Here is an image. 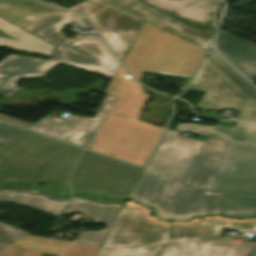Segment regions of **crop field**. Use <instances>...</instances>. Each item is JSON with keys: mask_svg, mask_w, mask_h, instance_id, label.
I'll return each mask as SVG.
<instances>
[{"mask_svg": "<svg viewBox=\"0 0 256 256\" xmlns=\"http://www.w3.org/2000/svg\"><path fill=\"white\" fill-rule=\"evenodd\" d=\"M9 243H11V242H9V241H7V240H5V239L0 237V248L5 246V245H7V244H9Z\"/></svg>", "mask_w": 256, "mask_h": 256, "instance_id": "eef30255", "label": "crop field"}, {"mask_svg": "<svg viewBox=\"0 0 256 256\" xmlns=\"http://www.w3.org/2000/svg\"><path fill=\"white\" fill-rule=\"evenodd\" d=\"M122 200L114 202H102L98 196H75V199L69 204L62 214H69L72 211L81 210V214L95 219L93 223H104L107 229L90 232L83 231L80 236L79 242L102 246L113 223L118 217L123 208Z\"/></svg>", "mask_w": 256, "mask_h": 256, "instance_id": "cbeb9de0", "label": "crop field"}, {"mask_svg": "<svg viewBox=\"0 0 256 256\" xmlns=\"http://www.w3.org/2000/svg\"><path fill=\"white\" fill-rule=\"evenodd\" d=\"M24 129L0 122V145L8 141Z\"/></svg>", "mask_w": 256, "mask_h": 256, "instance_id": "a9b5d70f", "label": "crop field"}, {"mask_svg": "<svg viewBox=\"0 0 256 256\" xmlns=\"http://www.w3.org/2000/svg\"><path fill=\"white\" fill-rule=\"evenodd\" d=\"M204 50L145 21L123 65L137 80L152 71L191 77Z\"/></svg>", "mask_w": 256, "mask_h": 256, "instance_id": "f4fd0767", "label": "crop field"}, {"mask_svg": "<svg viewBox=\"0 0 256 256\" xmlns=\"http://www.w3.org/2000/svg\"><path fill=\"white\" fill-rule=\"evenodd\" d=\"M165 130L129 199L156 208L160 220L218 214L222 195L208 193L224 143Z\"/></svg>", "mask_w": 256, "mask_h": 256, "instance_id": "8a807250", "label": "crop field"}, {"mask_svg": "<svg viewBox=\"0 0 256 256\" xmlns=\"http://www.w3.org/2000/svg\"><path fill=\"white\" fill-rule=\"evenodd\" d=\"M82 148L23 131L0 147V181L66 183Z\"/></svg>", "mask_w": 256, "mask_h": 256, "instance_id": "412701ff", "label": "crop field"}, {"mask_svg": "<svg viewBox=\"0 0 256 256\" xmlns=\"http://www.w3.org/2000/svg\"><path fill=\"white\" fill-rule=\"evenodd\" d=\"M248 256H256V245L254 248L251 250V252L248 254Z\"/></svg>", "mask_w": 256, "mask_h": 256, "instance_id": "ae1a2a85", "label": "crop field"}, {"mask_svg": "<svg viewBox=\"0 0 256 256\" xmlns=\"http://www.w3.org/2000/svg\"><path fill=\"white\" fill-rule=\"evenodd\" d=\"M106 1L144 20H147L205 50L212 43V36L201 33L138 0Z\"/></svg>", "mask_w": 256, "mask_h": 256, "instance_id": "5142ce71", "label": "crop field"}, {"mask_svg": "<svg viewBox=\"0 0 256 256\" xmlns=\"http://www.w3.org/2000/svg\"><path fill=\"white\" fill-rule=\"evenodd\" d=\"M105 94L117 97L90 150L143 165L163 127L137 120L149 94L119 67Z\"/></svg>", "mask_w": 256, "mask_h": 256, "instance_id": "34b2d1b8", "label": "crop field"}, {"mask_svg": "<svg viewBox=\"0 0 256 256\" xmlns=\"http://www.w3.org/2000/svg\"><path fill=\"white\" fill-rule=\"evenodd\" d=\"M57 64L50 60L10 55L0 62V95H12L20 89L15 86L20 78L45 75Z\"/></svg>", "mask_w": 256, "mask_h": 256, "instance_id": "d9b57169", "label": "crop field"}, {"mask_svg": "<svg viewBox=\"0 0 256 256\" xmlns=\"http://www.w3.org/2000/svg\"><path fill=\"white\" fill-rule=\"evenodd\" d=\"M69 9L81 13L97 28L121 62L144 23L104 0H87Z\"/></svg>", "mask_w": 256, "mask_h": 256, "instance_id": "d8731c3e", "label": "crop field"}, {"mask_svg": "<svg viewBox=\"0 0 256 256\" xmlns=\"http://www.w3.org/2000/svg\"><path fill=\"white\" fill-rule=\"evenodd\" d=\"M237 126H205L201 124H178L177 130L189 131L205 137L256 147V121H236Z\"/></svg>", "mask_w": 256, "mask_h": 256, "instance_id": "733c2abd", "label": "crop field"}, {"mask_svg": "<svg viewBox=\"0 0 256 256\" xmlns=\"http://www.w3.org/2000/svg\"><path fill=\"white\" fill-rule=\"evenodd\" d=\"M220 215L240 219L256 215V199L223 195Z\"/></svg>", "mask_w": 256, "mask_h": 256, "instance_id": "dafd665d", "label": "crop field"}, {"mask_svg": "<svg viewBox=\"0 0 256 256\" xmlns=\"http://www.w3.org/2000/svg\"><path fill=\"white\" fill-rule=\"evenodd\" d=\"M218 35L256 51V44L255 43H252V42L247 41L245 39L239 38L237 36H234L232 34L224 32L222 30H220Z\"/></svg>", "mask_w": 256, "mask_h": 256, "instance_id": "4177f3b9", "label": "crop field"}, {"mask_svg": "<svg viewBox=\"0 0 256 256\" xmlns=\"http://www.w3.org/2000/svg\"><path fill=\"white\" fill-rule=\"evenodd\" d=\"M141 168L84 150L70 180L73 192L127 198Z\"/></svg>", "mask_w": 256, "mask_h": 256, "instance_id": "dd49c442", "label": "crop field"}, {"mask_svg": "<svg viewBox=\"0 0 256 256\" xmlns=\"http://www.w3.org/2000/svg\"><path fill=\"white\" fill-rule=\"evenodd\" d=\"M218 52L239 69L250 80H256V54L219 38L216 40Z\"/></svg>", "mask_w": 256, "mask_h": 256, "instance_id": "214f88e0", "label": "crop field"}, {"mask_svg": "<svg viewBox=\"0 0 256 256\" xmlns=\"http://www.w3.org/2000/svg\"><path fill=\"white\" fill-rule=\"evenodd\" d=\"M148 210L132 202L125 204L97 256H246L253 242L243 244L222 237L225 229L256 233V219L237 221L213 218L195 219L190 223L158 221Z\"/></svg>", "mask_w": 256, "mask_h": 256, "instance_id": "ac0d7876", "label": "crop field"}, {"mask_svg": "<svg viewBox=\"0 0 256 256\" xmlns=\"http://www.w3.org/2000/svg\"><path fill=\"white\" fill-rule=\"evenodd\" d=\"M62 8L37 0H0V16L22 27Z\"/></svg>", "mask_w": 256, "mask_h": 256, "instance_id": "4a817a6b", "label": "crop field"}, {"mask_svg": "<svg viewBox=\"0 0 256 256\" xmlns=\"http://www.w3.org/2000/svg\"><path fill=\"white\" fill-rule=\"evenodd\" d=\"M114 100L106 95L94 118L69 115L60 120L50 116L29 129L89 149Z\"/></svg>", "mask_w": 256, "mask_h": 256, "instance_id": "28ad6ade", "label": "crop field"}, {"mask_svg": "<svg viewBox=\"0 0 256 256\" xmlns=\"http://www.w3.org/2000/svg\"><path fill=\"white\" fill-rule=\"evenodd\" d=\"M68 198H54L41 190H31L23 186L6 188L0 185V202L19 203L56 216L67 205ZM26 234L28 232L0 222V236L11 242Z\"/></svg>", "mask_w": 256, "mask_h": 256, "instance_id": "d1516ede", "label": "crop field"}, {"mask_svg": "<svg viewBox=\"0 0 256 256\" xmlns=\"http://www.w3.org/2000/svg\"><path fill=\"white\" fill-rule=\"evenodd\" d=\"M207 55L213 59L221 68H223L230 76H232L239 84H241L249 93L256 97V89L239 73H237L230 65H228L221 57H219L212 48L209 49Z\"/></svg>", "mask_w": 256, "mask_h": 256, "instance_id": "00972430", "label": "crop field"}, {"mask_svg": "<svg viewBox=\"0 0 256 256\" xmlns=\"http://www.w3.org/2000/svg\"><path fill=\"white\" fill-rule=\"evenodd\" d=\"M209 191L256 197V148L226 142Z\"/></svg>", "mask_w": 256, "mask_h": 256, "instance_id": "3316defc", "label": "crop field"}, {"mask_svg": "<svg viewBox=\"0 0 256 256\" xmlns=\"http://www.w3.org/2000/svg\"><path fill=\"white\" fill-rule=\"evenodd\" d=\"M188 89L206 91L199 108L232 109L237 118L256 119V98L206 55Z\"/></svg>", "mask_w": 256, "mask_h": 256, "instance_id": "e52e79f7", "label": "crop field"}, {"mask_svg": "<svg viewBox=\"0 0 256 256\" xmlns=\"http://www.w3.org/2000/svg\"><path fill=\"white\" fill-rule=\"evenodd\" d=\"M0 119L4 120V121H7V122H10V123H13V124H16V125H19V126H22V127H25V128L32 125V124H29V123H26V122H23V121H20V120L11 118V117L1 115V114H0Z\"/></svg>", "mask_w": 256, "mask_h": 256, "instance_id": "730fd06b", "label": "crop field"}, {"mask_svg": "<svg viewBox=\"0 0 256 256\" xmlns=\"http://www.w3.org/2000/svg\"><path fill=\"white\" fill-rule=\"evenodd\" d=\"M44 39L57 46L50 60L111 78L120 65L100 36L69 39L59 31Z\"/></svg>", "mask_w": 256, "mask_h": 256, "instance_id": "5a996713", "label": "crop field"}, {"mask_svg": "<svg viewBox=\"0 0 256 256\" xmlns=\"http://www.w3.org/2000/svg\"><path fill=\"white\" fill-rule=\"evenodd\" d=\"M203 31L214 34L220 0H143Z\"/></svg>", "mask_w": 256, "mask_h": 256, "instance_id": "22f410ed", "label": "crop field"}, {"mask_svg": "<svg viewBox=\"0 0 256 256\" xmlns=\"http://www.w3.org/2000/svg\"><path fill=\"white\" fill-rule=\"evenodd\" d=\"M0 46L50 56L55 47L0 18Z\"/></svg>", "mask_w": 256, "mask_h": 256, "instance_id": "bc2a9ffb", "label": "crop field"}, {"mask_svg": "<svg viewBox=\"0 0 256 256\" xmlns=\"http://www.w3.org/2000/svg\"><path fill=\"white\" fill-rule=\"evenodd\" d=\"M82 17L67 10L51 15L23 29L44 38L62 29L63 26Z\"/></svg>", "mask_w": 256, "mask_h": 256, "instance_id": "92a150f3", "label": "crop field"}]
</instances>
